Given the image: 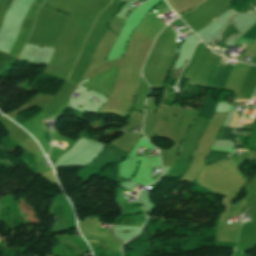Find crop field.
Segmentation results:
<instances>
[{
    "instance_id": "obj_1",
    "label": "crop field",
    "mask_w": 256,
    "mask_h": 256,
    "mask_svg": "<svg viewBox=\"0 0 256 256\" xmlns=\"http://www.w3.org/2000/svg\"><path fill=\"white\" fill-rule=\"evenodd\" d=\"M230 133H231V128L226 127L225 130H224V133H223L222 140H229Z\"/></svg>"
},
{
    "instance_id": "obj_2",
    "label": "crop field",
    "mask_w": 256,
    "mask_h": 256,
    "mask_svg": "<svg viewBox=\"0 0 256 256\" xmlns=\"http://www.w3.org/2000/svg\"><path fill=\"white\" fill-rule=\"evenodd\" d=\"M242 101H246V100H242ZM235 102H241V101H235Z\"/></svg>"
}]
</instances>
